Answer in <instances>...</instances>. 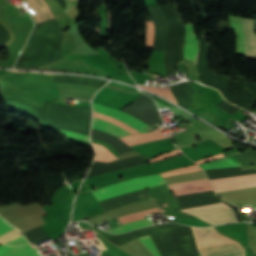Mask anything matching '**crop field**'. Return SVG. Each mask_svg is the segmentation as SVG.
Instances as JSON below:
<instances>
[{
  "instance_id": "8a807250",
  "label": "crop field",
  "mask_w": 256,
  "mask_h": 256,
  "mask_svg": "<svg viewBox=\"0 0 256 256\" xmlns=\"http://www.w3.org/2000/svg\"><path fill=\"white\" fill-rule=\"evenodd\" d=\"M170 190L175 197L184 196L189 194H195L205 191L213 190L208 178L190 180L184 182L170 183L168 184ZM232 212L236 211L226 204H223ZM223 205H212L188 210H182L185 213L193 215L210 225L226 224L230 222H238L237 212L232 213L230 210L225 208Z\"/></svg>"
},
{
  "instance_id": "ac0d7876",
  "label": "crop field",
  "mask_w": 256,
  "mask_h": 256,
  "mask_svg": "<svg viewBox=\"0 0 256 256\" xmlns=\"http://www.w3.org/2000/svg\"><path fill=\"white\" fill-rule=\"evenodd\" d=\"M93 103V102H92ZM93 110L98 111L100 113L109 115V116H113L116 117L118 119H120L121 121L133 126L134 128H136L137 130L141 131V132H146L143 128L148 127L147 125L143 124L142 122L134 119L133 117L122 113L120 111H117L113 108H109L100 104H96L93 103ZM94 111V116L98 117L100 119L109 121L123 129H125L127 132H129L130 134L133 133H139V131L135 130L133 127L119 121L116 118H112L103 114H100L98 112ZM93 117V122H92V129L94 130H98V131H102V132H106L110 135L116 136V137H120V136H124V135H128L129 133H127L126 131L106 122L103 120H100L98 118Z\"/></svg>"
},
{
  "instance_id": "34b2d1b8",
  "label": "crop field",
  "mask_w": 256,
  "mask_h": 256,
  "mask_svg": "<svg viewBox=\"0 0 256 256\" xmlns=\"http://www.w3.org/2000/svg\"><path fill=\"white\" fill-rule=\"evenodd\" d=\"M194 233L200 253L223 251L242 248L235 241L219 234L213 227L195 228ZM245 250H232L215 253H205L202 256H244Z\"/></svg>"
},
{
  "instance_id": "412701ff",
  "label": "crop field",
  "mask_w": 256,
  "mask_h": 256,
  "mask_svg": "<svg viewBox=\"0 0 256 256\" xmlns=\"http://www.w3.org/2000/svg\"><path fill=\"white\" fill-rule=\"evenodd\" d=\"M164 178L160 175H152L147 177L135 178L119 184L107 186L96 191H92L98 201L104 200L117 195L154 187L165 184Z\"/></svg>"
},
{
  "instance_id": "f4fd0767",
  "label": "crop field",
  "mask_w": 256,
  "mask_h": 256,
  "mask_svg": "<svg viewBox=\"0 0 256 256\" xmlns=\"http://www.w3.org/2000/svg\"><path fill=\"white\" fill-rule=\"evenodd\" d=\"M255 180H256V175H247V176H239V177L213 179V180H210V182L212 186H216V185L232 184V183L255 181ZM251 187H256V181L240 183V184L216 186L213 188L215 192H219V191H227V190H235V189H243V188H251Z\"/></svg>"
},
{
  "instance_id": "dd49c442",
  "label": "crop field",
  "mask_w": 256,
  "mask_h": 256,
  "mask_svg": "<svg viewBox=\"0 0 256 256\" xmlns=\"http://www.w3.org/2000/svg\"><path fill=\"white\" fill-rule=\"evenodd\" d=\"M245 31L246 57L256 60V31L254 29V19L242 18Z\"/></svg>"
},
{
  "instance_id": "e52e79f7",
  "label": "crop field",
  "mask_w": 256,
  "mask_h": 256,
  "mask_svg": "<svg viewBox=\"0 0 256 256\" xmlns=\"http://www.w3.org/2000/svg\"><path fill=\"white\" fill-rule=\"evenodd\" d=\"M163 130H165V127H162L151 133L135 134L127 137H121L120 139H122L129 146H132L136 144H141L145 142H150L154 140L171 137V136H166L164 134L162 135L160 132H162Z\"/></svg>"
},
{
  "instance_id": "d8731c3e",
  "label": "crop field",
  "mask_w": 256,
  "mask_h": 256,
  "mask_svg": "<svg viewBox=\"0 0 256 256\" xmlns=\"http://www.w3.org/2000/svg\"><path fill=\"white\" fill-rule=\"evenodd\" d=\"M187 29V40L183 52L184 58L195 62V56L198 52V37L194 35L191 24H185Z\"/></svg>"
},
{
  "instance_id": "5a996713",
  "label": "crop field",
  "mask_w": 256,
  "mask_h": 256,
  "mask_svg": "<svg viewBox=\"0 0 256 256\" xmlns=\"http://www.w3.org/2000/svg\"><path fill=\"white\" fill-rule=\"evenodd\" d=\"M27 2L28 6L36 13L34 14L35 23L53 17L44 0H27Z\"/></svg>"
},
{
  "instance_id": "3316defc",
  "label": "crop field",
  "mask_w": 256,
  "mask_h": 256,
  "mask_svg": "<svg viewBox=\"0 0 256 256\" xmlns=\"http://www.w3.org/2000/svg\"><path fill=\"white\" fill-rule=\"evenodd\" d=\"M229 24L237 35V45H236L235 55L245 56L243 28L241 24V18L229 17Z\"/></svg>"
},
{
  "instance_id": "28ad6ade",
  "label": "crop field",
  "mask_w": 256,
  "mask_h": 256,
  "mask_svg": "<svg viewBox=\"0 0 256 256\" xmlns=\"http://www.w3.org/2000/svg\"><path fill=\"white\" fill-rule=\"evenodd\" d=\"M203 170L206 169H218V168H230L236 166H242L232 155H229L225 158L200 165Z\"/></svg>"
},
{
  "instance_id": "d1516ede",
  "label": "crop field",
  "mask_w": 256,
  "mask_h": 256,
  "mask_svg": "<svg viewBox=\"0 0 256 256\" xmlns=\"http://www.w3.org/2000/svg\"><path fill=\"white\" fill-rule=\"evenodd\" d=\"M36 248L37 247L31 244H27L14 248L2 256H39V254L36 252Z\"/></svg>"
},
{
  "instance_id": "22f410ed",
  "label": "crop field",
  "mask_w": 256,
  "mask_h": 256,
  "mask_svg": "<svg viewBox=\"0 0 256 256\" xmlns=\"http://www.w3.org/2000/svg\"><path fill=\"white\" fill-rule=\"evenodd\" d=\"M160 211L159 207L154 208V209H148V210H144V211H140L137 213H132V214H127L125 216H121L116 218L121 224L127 223V222H132V221H136L138 219H144L145 215L150 214L151 212H158ZM149 217V216H148ZM147 218V217H146Z\"/></svg>"
},
{
  "instance_id": "cbeb9de0",
  "label": "crop field",
  "mask_w": 256,
  "mask_h": 256,
  "mask_svg": "<svg viewBox=\"0 0 256 256\" xmlns=\"http://www.w3.org/2000/svg\"><path fill=\"white\" fill-rule=\"evenodd\" d=\"M151 224L152 223L149 220H138L136 222L129 223V224H126V225H123V226H120V227L112 228V229H109L107 231L113 232V233H123V232H126L128 230L141 228V227L148 226V225H151Z\"/></svg>"
},
{
  "instance_id": "5142ce71",
  "label": "crop field",
  "mask_w": 256,
  "mask_h": 256,
  "mask_svg": "<svg viewBox=\"0 0 256 256\" xmlns=\"http://www.w3.org/2000/svg\"><path fill=\"white\" fill-rule=\"evenodd\" d=\"M92 144L96 150V158L94 161L110 162L117 158L105 147L97 145L95 143H92Z\"/></svg>"
},
{
  "instance_id": "d9b57169",
  "label": "crop field",
  "mask_w": 256,
  "mask_h": 256,
  "mask_svg": "<svg viewBox=\"0 0 256 256\" xmlns=\"http://www.w3.org/2000/svg\"><path fill=\"white\" fill-rule=\"evenodd\" d=\"M138 240L141 241L154 256H160L149 235L140 237Z\"/></svg>"
},
{
  "instance_id": "733c2abd",
  "label": "crop field",
  "mask_w": 256,
  "mask_h": 256,
  "mask_svg": "<svg viewBox=\"0 0 256 256\" xmlns=\"http://www.w3.org/2000/svg\"><path fill=\"white\" fill-rule=\"evenodd\" d=\"M142 87H143V88H146V89H149V90H151V91H154V92H156V93H158V94H160V95H163V96H165V97L171 99L172 101H174V102L176 103V101H175V99H174V97H173V95H172V93H171L169 87H165V88L144 87V86H142ZM149 90H148V91H149Z\"/></svg>"
},
{
  "instance_id": "4a817a6b",
  "label": "crop field",
  "mask_w": 256,
  "mask_h": 256,
  "mask_svg": "<svg viewBox=\"0 0 256 256\" xmlns=\"http://www.w3.org/2000/svg\"><path fill=\"white\" fill-rule=\"evenodd\" d=\"M195 170H200L199 167H197L196 165L190 166V167H186V168H182V169H176V170H172V171H168L165 173H161V175L163 177L166 176H170V175H174V174H180V173H185V172H190V171H195Z\"/></svg>"
},
{
  "instance_id": "bc2a9ffb",
  "label": "crop field",
  "mask_w": 256,
  "mask_h": 256,
  "mask_svg": "<svg viewBox=\"0 0 256 256\" xmlns=\"http://www.w3.org/2000/svg\"><path fill=\"white\" fill-rule=\"evenodd\" d=\"M21 235V233L19 231H17L16 229H12L2 235H0V242L4 243L6 241H9L17 236Z\"/></svg>"
},
{
  "instance_id": "214f88e0",
  "label": "crop field",
  "mask_w": 256,
  "mask_h": 256,
  "mask_svg": "<svg viewBox=\"0 0 256 256\" xmlns=\"http://www.w3.org/2000/svg\"><path fill=\"white\" fill-rule=\"evenodd\" d=\"M55 131H57L58 133L63 134V135H67V136L79 138V139H82V140L90 141L89 136H87V135H82V134L68 132V131H61V130H55Z\"/></svg>"
},
{
  "instance_id": "92a150f3",
  "label": "crop field",
  "mask_w": 256,
  "mask_h": 256,
  "mask_svg": "<svg viewBox=\"0 0 256 256\" xmlns=\"http://www.w3.org/2000/svg\"><path fill=\"white\" fill-rule=\"evenodd\" d=\"M24 243H28L27 240L24 238L23 235L5 243L7 245H21V244H24Z\"/></svg>"
},
{
  "instance_id": "dafd665d",
  "label": "crop field",
  "mask_w": 256,
  "mask_h": 256,
  "mask_svg": "<svg viewBox=\"0 0 256 256\" xmlns=\"http://www.w3.org/2000/svg\"><path fill=\"white\" fill-rule=\"evenodd\" d=\"M180 152H181L180 149H178V150L166 153V154H162V155H160V156H158L156 158L151 159L150 161L151 162L157 161V160H160V159H163V158H167V157L173 156V155L178 154Z\"/></svg>"
},
{
  "instance_id": "00972430",
  "label": "crop field",
  "mask_w": 256,
  "mask_h": 256,
  "mask_svg": "<svg viewBox=\"0 0 256 256\" xmlns=\"http://www.w3.org/2000/svg\"><path fill=\"white\" fill-rule=\"evenodd\" d=\"M11 228L13 227L0 217V234Z\"/></svg>"
},
{
  "instance_id": "a9b5d70f",
  "label": "crop field",
  "mask_w": 256,
  "mask_h": 256,
  "mask_svg": "<svg viewBox=\"0 0 256 256\" xmlns=\"http://www.w3.org/2000/svg\"><path fill=\"white\" fill-rule=\"evenodd\" d=\"M221 157H224V156L222 155V153H220V154H218V155H216V156H213V157H209V158L200 160V161L195 162V163L199 164V163H202V162H206V161L213 160V159H217V158H221Z\"/></svg>"
},
{
  "instance_id": "4177f3b9",
  "label": "crop field",
  "mask_w": 256,
  "mask_h": 256,
  "mask_svg": "<svg viewBox=\"0 0 256 256\" xmlns=\"http://www.w3.org/2000/svg\"><path fill=\"white\" fill-rule=\"evenodd\" d=\"M12 248H14V247L6 246V245L0 246V255L3 254V253H5V252H7V251H9V250L12 249Z\"/></svg>"
}]
</instances>
